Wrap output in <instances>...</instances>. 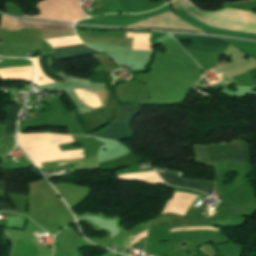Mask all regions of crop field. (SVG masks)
Wrapping results in <instances>:
<instances>
[{
	"mask_svg": "<svg viewBox=\"0 0 256 256\" xmlns=\"http://www.w3.org/2000/svg\"><path fill=\"white\" fill-rule=\"evenodd\" d=\"M173 37L179 42V40H191L192 46L188 49L200 50V51H207L213 53L223 54L227 43L224 41L213 38V37H204V36H191V35H180V34H173ZM180 43V42H179ZM183 47V45L180 43ZM225 55L231 54L229 63L213 70L219 72L226 77L236 75L239 73L247 72L253 68H256V61L249 57V60L246 61L243 58L246 56L239 50L233 48L231 45L228 44L225 52ZM229 81L233 83L234 81L228 77Z\"/></svg>",
	"mask_w": 256,
	"mask_h": 256,
	"instance_id": "1",
	"label": "crop field"
},
{
	"mask_svg": "<svg viewBox=\"0 0 256 256\" xmlns=\"http://www.w3.org/2000/svg\"><path fill=\"white\" fill-rule=\"evenodd\" d=\"M140 107L135 106H119L118 114H139ZM136 115H118V118L114 121H126L132 120ZM127 122H117L111 123L103 131L95 134H90V136H95L107 140L121 141L124 139H130L133 137V132L128 126Z\"/></svg>",
	"mask_w": 256,
	"mask_h": 256,
	"instance_id": "2",
	"label": "crop field"
},
{
	"mask_svg": "<svg viewBox=\"0 0 256 256\" xmlns=\"http://www.w3.org/2000/svg\"><path fill=\"white\" fill-rule=\"evenodd\" d=\"M206 152L210 165L218 161L228 159H232L240 163H247L246 144L207 147Z\"/></svg>",
	"mask_w": 256,
	"mask_h": 256,
	"instance_id": "3",
	"label": "crop field"
},
{
	"mask_svg": "<svg viewBox=\"0 0 256 256\" xmlns=\"http://www.w3.org/2000/svg\"><path fill=\"white\" fill-rule=\"evenodd\" d=\"M51 47L53 48L52 56L56 61L61 59L74 58L81 55L100 54V52L85 46L82 42L54 45Z\"/></svg>",
	"mask_w": 256,
	"mask_h": 256,
	"instance_id": "4",
	"label": "crop field"
},
{
	"mask_svg": "<svg viewBox=\"0 0 256 256\" xmlns=\"http://www.w3.org/2000/svg\"><path fill=\"white\" fill-rule=\"evenodd\" d=\"M155 170H156V172H159V173L179 176V173H177V172L163 170V169H159V168H155ZM159 175L165 182H167L173 186L199 190L206 194L209 192L210 189H213V185H214V183H205V182H201V181H189V180H184L182 178H177V177H173V176H168V175H163V174H159Z\"/></svg>",
	"mask_w": 256,
	"mask_h": 256,
	"instance_id": "5",
	"label": "crop field"
},
{
	"mask_svg": "<svg viewBox=\"0 0 256 256\" xmlns=\"http://www.w3.org/2000/svg\"><path fill=\"white\" fill-rule=\"evenodd\" d=\"M20 109L9 108L6 134H15L16 117Z\"/></svg>",
	"mask_w": 256,
	"mask_h": 256,
	"instance_id": "6",
	"label": "crop field"
},
{
	"mask_svg": "<svg viewBox=\"0 0 256 256\" xmlns=\"http://www.w3.org/2000/svg\"><path fill=\"white\" fill-rule=\"evenodd\" d=\"M47 56H49V55L39 56L46 79H47V82L53 83V82H57V81H63L59 76L52 74L53 72L51 73V71L47 65V62H46Z\"/></svg>",
	"mask_w": 256,
	"mask_h": 256,
	"instance_id": "7",
	"label": "crop field"
},
{
	"mask_svg": "<svg viewBox=\"0 0 256 256\" xmlns=\"http://www.w3.org/2000/svg\"><path fill=\"white\" fill-rule=\"evenodd\" d=\"M197 150L198 160L200 163L208 164L205 156V147L195 146Z\"/></svg>",
	"mask_w": 256,
	"mask_h": 256,
	"instance_id": "8",
	"label": "crop field"
},
{
	"mask_svg": "<svg viewBox=\"0 0 256 256\" xmlns=\"http://www.w3.org/2000/svg\"><path fill=\"white\" fill-rule=\"evenodd\" d=\"M9 205L8 204H1L0 203V210H9V211H14V212H18V210H13V209H10L8 208ZM19 213V212H18Z\"/></svg>",
	"mask_w": 256,
	"mask_h": 256,
	"instance_id": "9",
	"label": "crop field"
},
{
	"mask_svg": "<svg viewBox=\"0 0 256 256\" xmlns=\"http://www.w3.org/2000/svg\"><path fill=\"white\" fill-rule=\"evenodd\" d=\"M0 189H4V182H0Z\"/></svg>",
	"mask_w": 256,
	"mask_h": 256,
	"instance_id": "10",
	"label": "crop field"
}]
</instances>
